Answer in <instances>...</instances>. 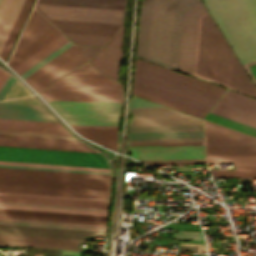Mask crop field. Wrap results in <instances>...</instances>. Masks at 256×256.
I'll list each match as a JSON object with an SVG mask.
<instances>
[{"mask_svg": "<svg viewBox=\"0 0 256 256\" xmlns=\"http://www.w3.org/2000/svg\"><path fill=\"white\" fill-rule=\"evenodd\" d=\"M225 88L136 59L132 94L203 118Z\"/></svg>", "mask_w": 256, "mask_h": 256, "instance_id": "8a807250", "label": "crop field"}, {"mask_svg": "<svg viewBox=\"0 0 256 256\" xmlns=\"http://www.w3.org/2000/svg\"><path fill=\"white\" fill-rule=\"evenodd\" d=\"M199 0H144L136 57L177 71L182 15Z\"/></svg>", "mask_w": 256, "mask_h": 256, "instance_id": "ac0d7876", "label": "crop field"}, {"mask_svg": "<svg viewBox=\"0 0 256 256\" xmlns=\"http://www.w3.org/2000/svg\"><path fill=\"white\" fill-rule=\"evenodd\" d=\"M110 175L0 168V191L108 198Z\"/></svg>", "mask_w": 256, "mask_h": 256, "instance_id": "34b2d1b8", "label": "crop field"}, {"mask_svg": "<svg viewBox=\"0 0 256 256\" xmlns=\"http://www.w3.org/2000/svg\"><path fill=\"white\" fill-rule=\"evenodd\" d=\"M207 14L208 13L198 18L193 75L228 86L230 89L256 97V86L253 84L252 88V82L248 75L226 43L225 39L219 32L209 14ZM200 19L202 20L197 73L233 85L235 88L250 93L252 88V94L196 74Z\"/></svg>", "mask_w": 256, "mask_h": 256, "instance_id": "412701ff", "label": "crop field"}, {"mask_svg": "<svg viewBox=\"0 0 256 256\" xmlns=\"http://www.w3.org/2000/svg\"><path fill=\"white\" fill-rule=\"evenodd\" d=\"M240 61L256 60V0H203Z\"/></svg>", "mask_w": 256, "mask_h": 256, "instance_id": "f4fd0767", "label": "crop field"}, {"mask_svg": "<svg viewBox=\"0 0 256 256\" xmlns=\"http://www.w3.org/2000/svg\"><path fill=\"white\" fill-rule=\"evenodd\" d=\"M0 161L108 168L98 153L0 146Z\"/></svg>", "mask_w": 256, "mask_h": 256, "instance_id": "dd49c442", "label": "crop field"}, {"mask_svg": "<svg viewBox=\"0 0 256 256\" xmlns=\"http://www.w3.org/2000/svg\"><path fill=\"white\" fill-rule=\"evenodd\" d=\"M69 124L118 125L122 102L47 101Z\"/></svg>", "mask_w": 256, "mask_h": 256, "instance_id": "e52e79f7", "label": "crop field"}, {"mask_svg": "<svg viewBox=\"0 0 256 256\" xmlns=\"http://www.w3.org/2000/svg\"><path fill=\"white\" fill-rule=\"evenodd\" d=\"M99 49L74 44L24 80L39 93L61 75L87 62Z\"/></svg>", "mask_w": 256, "mask_h": 256, "instance_id": "d8731c3e", "label": "crop field"}, {"mask_svg": "<svg viewBox=\"0 0 256 256\" xmlns=\"http://www.w3.org/2000/svg\"><path fill=\"white\" fill-rule=\"evenodd\" d=\"M207 155L256 154V138L206 121Z\"/></svg>", "mask_w": 256, "mask_h": 256, "instance_id": "5a996713", "label": "crop field"}, {"mask_svg": "<svg viewBox=\"0 0 256 256\" xmlns=\"http://www.w3.org/2000/svg\"><path fill=\"white\" fill-rule=\"evenodd\" d=\"M47 19L123 24L124 10L36 4Z\"/></svg>", "mask_w": 256, "mask_h": 256, "instance_id": "3316defc", "label": "crop field"}, {"mask_svg": "<svg viewBox=\"0 0 256 256\" xmlns=\"http://www.w3.org/2000/svg\"><path fill=\"white\" fill-rule=\"evenodd\" d=\"M211 113L256 128V99L227 90Z\"/></svg>", "mask_w": 256, "mask_h": 256, "instance_id": "28ad6ade", "label": "crop field"}, {"mask_svg": "<svg viewBox=\"0 0 256 256\" xmlns=\"http://www.w3.org/2000/svg\"><path fill=\"white\" fill-rule=\"evenodd\" d=\"M129 126L202 124V120L168 107L130 108Z\"/></svg>", "mask_w": 256, "mask_h": 256, "instance_id": "d1516ede", "label": "crop field"}, {"mask_svg": "<svg viewBox=\"0 0 256 256\" xmlns=\"http://www.w3.org/2000/svg\"><path fill=\"white\" fill-rule=\"evenodd\" d=\"M205 12L206 10L200 2L183 15L179 70L192 74L197 18Z\"/></svg>", "mask_w": 256, "mask_h": 256, "instance_id": "22f410ed", "label": "crop field"}, {"mask_svg": "<svg viewBox=\"0 0 256 256\" xmlns=\"http://www.w3.org/2000/svg\"><path fill=\"white\" fill-rule=\"evenodd\" d=\"M0 234L84 240V236L104 237L105 232L0 225Z\"/></svg>", "mask_w": 256, "mask_h": 256, "instance_id": "cbeb9de0", "label": "crop field"}, {"mask_svg": "<svg viewBox=\"0 0 256 256\" xmlns=\"http://www.w3.org/2000/svg\"><path fill=\"white\" fill-rule=\"evenodd\" d=\"M138 160L204 158L203 145L131 149Z\"/></svg>", "mask_w": 256, "mask_h": 256, "instance_id": "5142ce71", "label": "crop field"}, {"mask_svg": "<svg viewBox=\"0 0 256 256\" xmlns=\"http://www.w3.org/2000/svg\"><path fill=\"white\" fill-rule=\"evenodd\" d=\"M47 90L49 89L39 94L45 100L119 101L118 90L51 89L46 92ZM119 91L122 101V90Z\"/></svg>", "mask_w": 256, "mask_h": 256, "instance_id": "d9b57169", "label": "crop field"}, {"mask_svg": "<svg viewBox=\"0 0 256 256\" xmlns=\"http://www.w3.org/2000/svg\"><path fill=\"white\" fill-rule=\"evenodd\" d=\"M122 29L123 26L112 40L90 61L96 69L115 80H117L116 74L119 58L122 56V52L120 51Z\"/></svg>", "mask_w": 256, "mask_h": 256, "instance_id": "733c2abd", "label": "crop field"}, {"mask_svg": "<svg viewBox=\"0 0 256 256\" xmlns=\"http://www.w3.org/2000/svg\"><path fill=\"white\" fill-rule=\"evenodd\" d=\"M0 118L58 122L43 106L0 103Z\"/></svg>", "mask_w": 256, "mask_h": 256, "instance_id": "4a817a6b", "label": "crop field"}, {"mask_svg": "<svg viewBox=\"0 0 256 256\" xmlns=\"http://www.w3.org/2000/svg\"><path fill=\"white\" fill-rule=\"evenodd\" d=\"M52 28L54 27L34 9L11 57Z\"/></svg>", "mask_w": 256, "mask_h": 256, "instance_id": "bc2a9ffb", "label": "crop field"}, {"mask_svg": "<svg viewBox=\"0 0 256 256\" xmlns=\"http://www.w3.org/2000/svg\"><path fill=\"white\" fill-rule=\"evenodd\" d=\"M61 32L113 36L121 25L49 20Z\"/></svg>", "mask_w": 256, "mask_h": 256, "instance_id": "214f88e0", "label": "crop field"}, {"mask_svg": "<svg viewBox=\"0 0 256 256\" xmlns=\"http://www.w3.org/2000/svg\"><path fill=\"white\" fill-rule=\"evenodd\" d=\"M0 129L60 133L70 135V133L60 123L53 122L0 119Z\"/></svg>", "mask_w": 256, "mask_h": 256, "instance_id": "92a150f3", "label": "crop field"}, {"mask_svg": "<svg viewBox=\"0 0 256 256\" xmlns=\"http://www.w3.org/2000/svg\"><path fill=\"white\" fill-rule=\"evenodd\" d=\"M77 241L0 236V246H37L76 249Z\"/></svg>", "mask_w": 256, "mask_h": 256, "instance_id": "dafd665d", "label": "crop field"}, {"mask_svg": "<svg viewBox=\"0 0 256 256\" xmlns=\"http://www.w3.org/2000/svg\"><path fill=\"white\" fill-rule=\"evenodd\" d=\"M1 143H15V144H29V145H44V146H58V147H72V148H86L78 140H65V139H51V138H36V137H21V136H7L0 135Z\"/></svg>", "mask_w": 256, "mask_h": 256, "instance_id": "00972430", "label": "crop field"}, {"mask_svg": "<svg viewBox=\"0 0 256 256\" xmlns=\"http://www.w3.org/2000/svg\"><path fill=\"white\" fill-rule=\"evenodd\" d=\"M0 201L42 203V204H56V205H71V206H86V207H100V208H107V205H108V203H102V202L75 201V200H62V199H49V198H36V197H23V196H9V195H0Z\"/></svg>", "mask_w": 256, "mask_h": 256, "instance_id": "a9b5d70f", "label": "crop field"}, {"mask_svg": "<svg viewBox=\"0 0 256 256\" xmlns=\"http://www.w3.org/2000/svg\"><path fill=\"white\" fill-rule=\"evenodd\" d=\"M67 41L69 40L65 38L62 34L59 35L57 38L49 42L47 45L39 49L37 52L29 56L27 59H25L12 69L16 71L19 75L22 74L24 71L32 67L34 64L42 60L44 57L52 53L54 50L62 46Z\"/></svg>", "mask_w": 256, "mask_h": 256, "instance_id": "4177f3b9", "label": "crop field"}, {"mask_svg": "<svg viewBox=\"0 0 256 256\" xmlns=\"http://www.w3.org/2000/svg\"><path fill=\"white\" fill-rule=\"evenodd\" d=\"M33 0H24L23 4L14 20V23L6 37V40L0 50V58L6 61L10 50L15 42V39L21 29V26L26 18V15L31 7Z\"/></svg>", "mask_w": 256, "mask_h": 256, "instance_id": "730fd06b", "label": "crop field"}, {"mask_svg": "<svg viewBox=\"0 0 256 256\" xmlns=\"http://www.w3.org/2000/svg\"><path fill=\"white\" fill-rule=\"evenodd\" d=\"M23 0H2L0 4V48Z\"/></svg>", "mask_w": 256, "mask_h": 256, "instance_id": "eef30255", "label": "crop field"}, {"mask_svg": "<svg viewBox=\"0 0 256 256\" xmlns=\"http://www.w3.org/2000/svg\"><path fill=\"white\" fill-rule=\"evenodd\" d=\"M37 3L124 9L125 0H38Z\"/></svg>", "mask_w": 256, "mask_h": 256, "instance_id": "ae1a2a85", "label": "crop field"}, {"mask_svg": "<svg viewBox=\"0 0 256 256\" xmlns=\"http://www.w3.org/2000/svg\"><path fill=\"white\" fill-rule=\"evenodd\" d=\"M80 135L115 151L118 129H75Z\"/></svg>", "mask_w": 256, "mask_h": 256, "instance_id": "d3111659", "label": "crop field"}, {"mask_svg": "<svg viewBox=\"0 0 256 256\" xmlns=\"http://www.w3.org/2000/svg\"><path fill=\"white\" fill-rule=\"evenodd\" d=\"M57 29V28H56ZM55 28L49 31L47 34L33 42L31 45L17 53L15 56L10 58L8 65L12 68L22 60H24L26 57L34 53L36 50L44 46L46 43L54 39L56 36L61 34L59 31H57Z\"/></svg>", "mask_w": 256, "mask_h": 256, "instance_id": "750c4746", "label": "crop field"}, {"mask_svg": "<svg viewBox=\"0 0 256 256\" xmlns=\"http://www.w3.org/2000/svg\"><path fill=\"white\" fill-rule=\"evenodd\" d=\"M203 137L202 131L128 133V140Z\"/></svg>", "mask_w": 256, "mask_h": 256, "instance_id": "bd1437ed", "label": "crop field"}, {"mask_svg": "<svg viewBox=\"0 0 256 256\" xmlns=\"http://www.w3.org/2000/svg\"><path fill=\"white\" fill-rule=\"evenodd\" d=\"M0 214L56 217V218H70V219H85V220H99V221H106V219H107V217H101V216L74 215V214H61V213H48V212H35V211H22V210H8V209H0Z\"/></svg>", "mask_w": 256, "mask_h": 256, "instance_id": "1d83c4d3", "label": "crop field"}, {"mask_svg": "<svg viewBox=\"0 0 256 256\" xmlns=\"http://www.w3.org/2000/svg\"><path fill=\"white\" fill-rule=\"evenodd\" d=\"M207 163H237V169H256V155L206 156Z\"/></svg>", "mask_w": 256, "mask_h": 256, "instance_id": "120bbe31", "label": "crop field"}, {"mask_svg": "<svg viewBox=\"0 0 256 256\" xmlns=\"http://www.w3.org/2000/svg\"><path fill=\"white\" fill-rule=\"evenodd\" d=\"M106 77L104 75H65L55 83H117Z\"/></svg>", "mask_w": 256, "mask_h": 256, "instance_id": "d32e631a", "label": "crop field"}, {"mask_svg": "<svg viewBox=\"0 0 256 256\" xmlns=\"http://www.w3.org/2000/svg\"><path fill=\"white\" fill-rule=\"evenodd\" d=\"M0 208L107 216V212H100V211H85V210L41 208V207L12 206V205H0Z\"/></svg>", "mask_w": 256, "mask_h": 256, "instance_id": "5866460e", "label": "crop field"}, {"mask_svg": "<svg viewBox=\"0 0 256 256\" xmlns=\"http://www.w3.org/2000/svg\"><path fill=\"white\" fill-rule=\"evenodd\" d=\"M202 130V125L128 127V132Z\"/></svg>", "mask_w": 256, "mask_h": 256, "instance_id": "028f5c9d", "label": "crop field"}, {"mask_svg": "<svg viewBox=\"0 0 256 256\" xmlns=\"http://www.w3.org/2000/svg\"><path fill=\"white\" fill-rule=\"evenodd\" d=\"M0 221L105 229L106 225L0 218Z\"/></svg>", "mask_w": 256, "mask_h": 256, "instance_id": "e1f06a70", "label": "crop field"}, {"mask_svg": "<svg viewBox=\"0 0 256 256\" xmlns=\"http://www.w3.org/2000/svg\"><path fill=\"white\" fill-rule=\"evenodd\" d=\"M63 34H65L72 41L77 42L79 44H85V45L104 46L105 43L111 38L106 36H93V35L68 34V33H63Z\"/></svg>", "mask_w": 256, "mask_h": 256, "instance_id": "0bd39190", "label": "crop field"}, {"mask_svg": "<svg viewBox=\"0 0 256 256\" xmlns=\"http://www.w3.org/2000/svg\"><path fill=\"white\" fill-rule=\"evenodd\" d=\"M205 119L256 136V129L220 116L209 113Z\"/></svg>", "mask_w": 256, "mask_h": 256, "instance_id": "b80d0937", "label": "crop field"}, {"mask_svg": "<svg viewBox=\"0 0 256 256\" xmlns=\"http://www.w3.org/2000/svg\"><path fill=\"white\" fill-rule=\"evenodd\" d=\"M0 164L1 165H15V166H30V167H45V168H59V169H74V170H89V171L110 172L109 169H102V168L73 167V166L44 165V164H29V163H15V162H0Z\"/></svg>", "mask_w": 256, "mask_h": 256, "instance_id": "c035e120", "label": "crop field"}, {"mask_svg": "<svg viewBox=\"0 0 256 256\" xmlns=\"http://www.w3.org/2000/svg\"><path fill=\"white\" fill-rule=\"evenodd\" d=\"M48 88L122 89L120 84H53Z\"/></svg>", "mask_w": 256, "mask_h": 256, "instance_id": "c21b1889", "label": "crop field"}, {"mask_svg": "<svg viewBox=\"0 0 256 256\" xmlns=\"http://www.w3.org/2000/svg\"><path fill=\"white\" fill-rule=\"evenodd\" d=\"M213 178L256 177V171H210Z\"/></svg>", "mask_w": 256, "mask_h": 256, "instance_id": "03da06ac", "label": "crop field"}, {"mask_svg": "<svg viewBox=\"0 0 256 256\" xmlns=\"http://www.w3.org/2000/svg\"><path fill=\"white\" fill-rule=\"evenodd\" d=\"M73 43H71L70 41L67 42L65 45H63L62 47H60L59 49H57L55 52H53L52 54H50L49 56H47L45 59H43L42 61H40L39 63H37L35 66H33L32 68H30L29 70H27L25 73H23L22 75H20L23 79L26 78L28 75H30L31 73H33L34 71H36L38 68H40L41 66H43L45 63H47L48 61H50L51 59H53L55 56H57L58 54H60L62 51H64L65 49H67L68 47H70Z\"/></svg>", "mask_w": 256, "mask_h": 256, "instance_id": "b54c1fbb", "label": "crop field"}, {"mask_svg": "<svg viewBox=\"0 0 256 256\" xmlns=\"http://www.w3.org/2000/svg\"><path fill=\"white\" fill-rule=\"evenodd\" d=\"M0 194H10V195H23V196H36V197H49V198H62V199H76V200H89V201L108 202V199H101V198H86V197L42 195V194L13 193V192H0Z\"/></svg>", "mask_w": 256, "mask_h": 256, "instance_id": "5d738f31", "label": "crop field"}, {"mask_svg": "<svg viewBox=\"0 0 256 256\" xmlns=\"http://www.w3.org/2000/svg\"><path fill=\"white\" fill-rule=\"evenodd\" d=\"M171 238L203 240L201 232L180 231L172 233Z\"/></svg>", "mask_w": 256, "mask_h": 256, "instance_id": "d23c7cc5", "label": "crop field"}, {"mask_svg": "<svg viewBox=\"0 0 256 256\" xmlns=\"http://www.w3.org/2000/svg\"><path fill=\"white\" fill-rule=\"evenodd\" d=\"M0 204H12V205H27V206H42V207H56V208H71V209H86V210H100V211H107V209H100V208H85V207L56 206V205H41V204L12 203V202H0Z\"/></svg>", "mask_w": 256, "mask_h": 256, "instance_id": "425ffa30", "label": "crop field"}, {"mask_svg": "<svg viewBox=\"0 0 256 256\" xmlns=\"http://www.w3.org/2000/svg\"><path fill=\"white\" fill-rule=\"evenodd\" d=\"M0 134H14V135H28V136H42V137H56V138H70L75 139L72 136L65 135H52V134H39V133H26V132H13V131H0Z\"/></svg>", "mask_w": 256, "mask_h": 256, "instance_id": "25e5ab78", "label": "crop field"}, {"mask_svg": "<svg viewBox=\"0 0 256 256\" xmlns=\"http://www.w3.org/2000/svg\"><path fill=\"white\" fill-rule=\"evenodd\" d=\"M0 217H12V218H26V219H41V220H56V221H70V222H85V223H99V224H103V222H96V221L54 219V218H40V217H26V216H12V215H0ZM104 224H106V222H104Z\"/></svg>", "mask_w": 256, "mask_h": 256, "instance_id": "73cf0c24", "label": "crop field"}, {"mask_svg": "<svg viewBox=\"0 0 256 256\" xmlns=\"http://www.w3.org/2000/svg\"><path fill=\"white\" fill-rule=\"evenodd\" d=\"M93 68L89 65V63H86L67 74H101Z\"/></svg>", "mask_w": 256, "mask_h": 256, "instance_id": "89e229c0", "label": "crop field"}, {"mask_svg": "<svg viewBox=\"0 0 256 256\" xmlns=\"http://www.w3.org/2000/svg\"><path fill=\"white\" fill-rule=\"evenodd\" d=\"M148 106H162V105L132 96L130 101V107H148Z\"/></svg>", "mask_w": 256, "mask_h": 256, "instance_id": "1f2cbd36", "label": "crop field"}, {"mask_svg": "<svg viewBox=\"0 0 256 256\" xmlns=\"http://www.w3.org/2000/svg\"><path fill=\"white\" fill-rule=\"evenodd\" d=\"M184 141H203V138L166 139V140H140V141H128V142L129 143H147V142H184Z\"/></svg>", "mask_w": 256, "mask_h": 256, "instance_id": "dbb93151", "label": "crop field"}, {"mask_svg": "<svg viewBox=\"0 0 256 256\" xmlns=\"http://www.w3.org/2000/svg\"><path fill=\"white\" fill-rule=\"evenodd\" d=\"M15 81L16 79H14L12 76L10 75L8 76V78L0 87V100L6 94V92L10 89V87L14 84Z\"/></svg>", "mask_w": 256, "mask_h": 256, "instance_id": "0fb4a251", "label": "crop field"}, {"mask_svg": "<svg viewBox=\"0 0 256 256\" xmlns=\"http://www.w3.org/2000/svg\"><path fill=\"white\" fill-rule=\"evenodd\" d=\"M2 146H17V147H32V148H46V149H61V150H76V151H90L95 152L94 150L86 149H72V148H58V147H44V146H29V145H15V144H1Z\"/></svg>", "mask_w": 256, "mask_h": 256, "instance_id": "1d79db26", "label": "crop field"}, {"mask_svg": "<svg viewBox=\"0 0 256 256\" xmlns=\"http://www.w3.org/2000/svg\"><path fill=\"white\" fill-rule=\"evenodd\" d=\"M252 64H256V61L251 62V63L244 64V65H242V66H243L244 69L246 70V72H247V74L249 75V77L251 78V80H252V81L254 82V84L256 85V80H255V78H256V65L249 66V65H252ZM247 66H249V69L251 70V72L253 73V75H254L255 78L253 77V75L251 74V72H250V70L248 69Z\"/></svg>", "mask_w": 256, "mask_h": 256, "instance_id": "9d1cf04e", "label": "crop field"}, {"mask_svg": "<svg viewBox=\"0 0 256 256\" xmlns=\"http://www.w3.org/2000/svg\"><path fill=\"white\" fill-rule=\"evenodd\" d=\"M0 224H11V225H25V226H40V227H55V228H69V229H84V230H98V231H105V230H99V229H86V228H73V227L47 226V225H33V224H20V223H7V222H0Z\"/></svg>", "mask_w": 256, "mask_h": 256, "instance_id": "447ae74e", "label": "crop field"}, {"mask_svg": "<svg viewBox=\"0 0 256 256\" xmlns=\"http://www.w3.org/2000/svg\"><path fill=\"white\" fill-rule=\"evenodd\" d=\"M147 144H162V146H172V145L202 144V142H185V143H147ZM129 145H146V144H129Z\"/></svg>", "mask_w": 256, "mask_h": 256, "instance_id": "0765c3eb", "label": "crop field"}, {"mask_svg": "<svg viewBox=\"0 0 256 256\" xmlns=\"http://www.w3.org/2000/svg\"><path fill=\"white\" fill-rule=\"evenodd\" d=\"M72 128H118V126L71 125Z\"/></svg>", "mask_w": 256, "mask_h": 256, "instance_id": "db79e9e6", "label": "crop field"}, {"mask_svg": "<svg viewBox=\"0 0 256 256\" xmlns=\"http://www.w3.org/2000/svg\"><path fill=\"white\" fill-rule=\"evenodd\" d=\"M0 167L29 168V169H44V168L15 167V166H0ZM44 170H59V169H44ZM59 171H74V170H59ZM74 172H88V171H74ZM88 173H103V172H88ZM103 174H110V173H103Z\"/></svg>", "mask_w": 256, "mask_h": 256, "instance_id": "7b73153f", "label": "crop field"}, {"mask_svg": "<svg viewBox=\"0 0 256 256\" xmlns=\"http://www.w3.org/2000/svg\"><path fill=\"white\" fill-rule=\"evenodd\" d=\"M174 161H204V159H188V160H156V161H143V162H174Z\"/></svg>", "mask_w": 256, "mask_h": 256, "instance_id": "78b8030e", "label": "crop field"}, {"mask_svg": "<svg viewBox=\"0 0 256 256\" xmlns=\"http://www.w3.org/2000/svg\"><path fill=\"white\" fill-rule=\"evenodd\" d=\"M62 255L80 256V251L62 250Z\"/></svg>", "mask_w": 256, "mask_h": 256, "instance_id": "0f1d7ab4", "label": "crop field"}, {"mask_svg": "<svg viewBox=\"0 0 256 256\" xmlns=\"http://www.w3.org/2000/svg\"><path fill=\"white\" fill-rule=\"evenodd\" d=\"M197 247L180 246L179 251L196 252Z\"/></svg>", "mask_w": 256, "mask_h": 256, "instance_id": "e1d0b9f6", "label": "crop field"}, {"mask_svg": "<svg viewBox=\"0 0 256 256\" xmlns=\"http://www.w3.org/2000/svg\"><path fill=\"white\" fill-rule=\"evenodd\" d=\"M190 163H204V162H175V163H148L150 165H163V164H190Z\"/></svg>", "mask_w": 256, "mask_h": 256, "instance_id": "ae633e8c", "label": "crop field"}, {"mask_svg": "<svg viewBox=\"0 0 256 256\" xmlns=\"http://www.w3.org/2000/svg\"><path fill=\"white\" fill-rule=\"evenodd\" d=\"M9 74L0 70V85L3 83V81L7 78Z\"/></svg>", "mask_w": 256, "mask_h": 256, "instance_id": "d14b1444", "label": "crop field"}, {"mask_svg": "<svg viewBox=\"0 0 256 256\" xmlns=\"http://www.w3.org/2000/svg\"><path fill=\"white\" fill-rule=\"evenodd\" d=\"M0 2H1V0H0Z\"/></svg>", "mask_w": 256, "mask_h": 256, "instance_id": "c39391a2", "label": "crop field"}]
</instances>
